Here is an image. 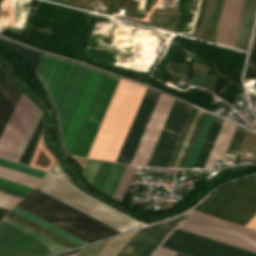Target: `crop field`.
Segmentation results:
<instances>
[{
  "label": "crop field",
  "mask_w": 256,
  "mask_h": 256,
  "mask_svg": "<svg viewBox=\"0 0 256 256\" xmlns=\"http://www.w3.org/2000/svg\"><path fill=\"white\" fill-rule=\"evenodd\" d=\"M0 43L2 45H4L11 53L16 55L18 58H20L24 62H26L28 64V66L31 68V70L34 72L35 76L37 77L39 83L43 87V89L52 105V108L54 110L57 125H58L60 145L62 147V143H63V147L65 148V150L68 151L69 153L73 154L75 147L78 143V140L81 136V133L84 129V126L87 122L89 114L92 110V107L95 103V100L98 96L100 88H101L103 81L106 77V75H104L106 73L101 74L103 72H101V73H98L100 71L95 72L97 70L91 71L94 69L88 70L89 69L88 67L76 64V65H79V66H82V67H85L88 69H85L82 67L80 68L78 75L76 77V80L73 84V87H72L70 94L67 98V101L65 103V106H64L62 113L59 117L61 136H62V143H61L59 122H58V117H57L56 111L53 107V104H52L43 84L41 83L40 79L38 78V76L35 72L43 53H39V52L32 50L30 48H27V47H23L21 45H18L16 43L8 41L2 37H0ZM44 55H47V54H44ZM47 56L54 57L51 55H47ZM54 58L75 64L74 62H71V61H68L65 59H61L58 57H54ZM63 147H62V149H63ZM69 153H67V154H69Z\"/></svg>",
  "instance_id": "8a807250"
},
{
  "label": "crop field",
  "mask_w": 256,
  "mask_h": 256,
  "mask_svg": "<svg viewBox=\"0 0 256 256\" xmlns=\"http://www.w3.org/2000/svg\"><path fill=\"white\" fill-rule=\"evenodd\" d=\"M146 88L120 79L87 157L116 161Z\"/></svg>",
  "instance_id": "ac0d7876"
},
{
  "label": "crop field",
  "mask_w": 256,
  "mask_h": 256,
  "mask_svg": "<svg viewBox=\"0 0 256 256\" xmlns=\"http://www.w3.org/2000/svg\"><path fill=\"white\" fill-rule=\"evenodd\" d=\"M159 94V92L147 88L116 162L130 163ZM174 100L167 95L160 94L130 164L147 165Z\"/></svg>",
  "instance_id": "34b2d1b8"
},
{
  "label": "crop field",
  "mask_w": 256,
  "mask_h": 256,
  "mask_svg": "<svg viewBox=\"0 0 256 256\" xmlns=\"http://www.w3.org/2000/svg\"><path fill=\"white\" fill-rule=\"evenodd\" d=\"M17 206L88 243L120 233L35 188Z\"/></svg>",
  "instance_id": "412701ff"
},
{
  "label": "crop field",
  "mask_w": 256,
  "mask_h": 256,
  "mask_svg": "<svg viewBox=\"0 0 256 256\" xmlns=\"http://www.w3.org/2000/svg\"><path fill=\"white\" fill-rule=\"evenodd\" d=\"M35 188L121 232L142 226V224L92 200L85 194L50 174Z\"/></svg>",
  "instance_id": "f4fd0767"
},
{
  "label": "crop field",
  "mask_w": 256,
  "mask_h": 256,
  "mask_svg": "<svg viewBox=\"0 0 256 256\" xmlns=\"http://www.w3.org/2000/svg\"><path fill=\"white\" fill-rule=\"evenodd\" d=\"M178 229L256 253V231L194 211Z\"/></svg>",
  "instance_id": "dd49c442"
},
{
  "label": "crop field",
  "mask_w": 256,
  "mask_h": 256,
  "mask_svg": "<svg viewBox=\"0 0 256 256\" xmlns=\"http://www.w3.org/2000/svg\"><path fill=\"white\" fill-rule=\"evenodd\" d=\"M64 250L6 217L0 223V256H47Z\"/></svg>",
  "instance_id": "e52e79f7"
},
{
  "label": "crop field",
  "mask_w": 256,
  "mask_h": 256,
  "mask_svg": "<svg viewBox=\"0 0 256 256\" xmlns=\"http://www.w3.org/2000/svg\"><path fill=\"white\" fill-rule=\"evenodd\" d=\"M243 0H224L216 43L233 45ZM256 13V0H244L233 47L247 50Z\"/></svg>",
  "instance_id": "d8731c3e"
},
{
  "label": "crop field",
  "mask_w": 256,
  "mask_h": 256,
  "mask_svg": "<svg viewBox=\"0 0 256 256\" xmlns=\"http://www.w3.org/2000/svg\"><path fill=\"white\" fill-rule=\"evenodd\" d=\"M186 214L179 216L175 219L163 222L160 226V224L152 225L146 228H142L138 231L128 233L119 237L112 238L108 241V243L102 248V250L96 255V256H117L118 253L125 247H126L119 253L118 256H134L135 253L143 247L136 253L135 256H148L156 247L157 245L169 234V232L182 220V218Z\"/></svg>",
  "instance_id": "5a996713"
},
{
  "label": "crop field",
  "mask_w": 256,
  "mask_h": 256,
  "mask_svg": "<svg viewBox=\"0 0 256 256\" xmlns=\"http://www.w3.org/2000/svg\"><path fill=\"white\" fill-rule=\"evenodd\" d=\"M79 68V66L44 55L41 58L36 72L51 97L58 117Z\"/></svg>",
  "instance_id": "3316defc"
},
{
  "label": "crop field",
  "mask_w": 256,
  "mask_h": 256,
  "mask_svg": "<svg viewBox=\"0 0 256 256\" xmlns=\"http://www.w3.org/2000/svg\"><path fill=\"white\" fill-rule=\"evenodd\" d=\"M161 246L191 256H256L254 253L178 229Z\"/></svg>",
  "instance_id": "28ad6ade"
},
{
  "label": "crop field",
  "mask_w": 256,
  "mask_h": 256,
  "mask_svg": "<svg viewBox=\"0 0 256 256\" xmlns=\"http://www.w3.org/2000/svg\"><path fill=\"white\" fill-rule=\"evenodd\" d=\"M191 108L175 100L147 166H167Z\"/></svg>",
  "instance_id": "d1516ede"
},
{
  "label": "crop field",
  "mask_w": 256,
  "mask_h": 256,
  "mask_svg": "<svg viewBox=\"0 0 256 256\" xmlns=\"http://www.w3.org/2000/svg\"><path fill=\"white\" fill-rule=\"evenodd\" d=\"M36 109L22 94L0 137V156L10 160L12 159Z\"/></svg>",
  "instance_id": "22f410ed"
},
{
  "label": "crop field",
  "mask_w": 256,
  "mask_h": 256,
  "mask_svg": "<svg viewBox=\"0 0 256 256\" xmlns=\"http://www.w3.org/2000/svg\"><path fill=\"white\" fill-rule=\"evenodd\" d=\"M119 79V77L107 75L74 155L87 156Z\"/></svg>",
  "instance_id": "cbeb9de0"
},
{
  "label": "crop field",
  "mask_w": 256,
  "mask_h": 256,
  "mask_svg": "<svg viewBox=\"0 0 256 256\" xmlns=\"http://www.w3.org/2000/svg\"><path fill=\"white\" fill-rule=\"evenodd\" d=\"M222 121V119H219L217 117L215 118L194 167H204ZM235 127V125L224 120V123L221 127L219 135L216 139V142L213 146V149L204 168H213L216 160H220L223 158Z\"/></svg>",
  "instance_id": "5142ce71"
},
{
  "label": "crop field",
  "mask_w": 256,
  "mask_h": 256,
  "mask_svg": "<svg viewBox=\"0 0 256 256\" xmlns=\"http://www.w3.org/2000/svg\"><path fill=\"white\" fill-rule=\"evenodd\" d=\"M206 115V113L192 108L167 167H185Z\"/></svg>",
  "instance_id": "d9b57169"
},
{
  "label": "crop field",
  "mask_w": 256,
  "mask_h": 256,
  "mask_svg": "<svg viewBox=\"0 0 256 256\" xmlns=\"http://www.w3.org/2000/svg\"><path fill=\"white\" fill-rule=\"evenodd\" d=\"M124 166L125 165L113 163L99 191L105 193L108 196H111ZM136 169L137 168L134 166H125L116 185V188L111 196L112 198L119 201L123 200L126 191L134 177Z\"/></svg>",
  "instance_id": "733c2abd"
},
{
  "label": "crop field",
  "mask_w": 256,
  "mask_h": 256,
  "mask_svg": "<svg viewBox=\"0 0 256 256\" xmlns=\"http://www.w3.org/2000/svg\"><path fill=\"white\" fill-rule=\"evenodd\" d=\"M21 92L9 81L0 99V134L15 108Z\"/></svg>",
  "instance_id": "4a817a6b"
},
{
  "label": "crop field",
  "mask_w": 256,
  "mask_h": 256,
  "mask_svg": "<svg viewBox=\"0 0 256 256\" xmlns=\"http://www.w3.org/2000/svg\"><path fill=\"white\" fill-rule=\"evenodd\" d=\"M110 165L111 163L109 162L89 159L84 168L83 174L95 188L99 189Z\"/></svg>",
  "instance_id": "bc2a9ffb"
},
{
  "label": "crop field",
  "mask_w": 256,
  "mask_h": 256,
  "mask_svg": "<svg viewBox=\"0 0 256 256\" xmlns=\"http://www.w3.org/2000/svg\"><path fill=\"white\" fill-rule=\"evenodd\" d=\"M12 211H14V212H16V213H18V214L28 218L29 220H31V221H33V222H35V223L45 227L46 229H48V230H50V231H52V232L62 236L63 238H65V239H67V240H69V241H71V242H73V243H75V244H77L79 246L87 244L86 242H84V241H82V240H80V239L70 235L69 233H67V232H65V231H63V230L53 226L52 224H50V223H48V222H46V221H44V220L34 216L33 214H31V213H29V212H27V211H25V210H23V209H21V208H19L17 206Z\"/></svg>",
  "instance_id": "214f88e0"
},
{
  "label": "crop field",
  "mask_w": 256,
  "mask_h": 256,
  "mask_svg": "<svg viewBox=\"0 0 256 256\" xmlns=\"http://www.w3.org/2000/svg\"><path fill=\"white\" fill-rule=\"evenodd\" d=\"M42 131H43V117L41 116L20 160L19 163L29 164L41 138H42Z\"/></svg>",
  "instance_id": "92a150f3"
},
{
  "label": "crop field",
  "mask_w": 256,
  "mask_h": 256,
  "mask_svg": "<svg viewBox=\"0 0 256 256\" xmlns=\"http://www.w3.org/2000/svg\"><path fill=\"white\" fill-rule=\"evenodd\" d=\"M0 177L34 187L40 178L0 166Z\"/></svg>",
  "instance_id": "dafd665d"
},
{
  "label": "crop field",
  "mask_w": 256,
  "mask_h": 256,
  "mask_svg": "<svg viewBox=\"0 0 256 256\" xmlns=\"http://www.w3.org/2000/svg\"><path fill=\"white\" fill-rule=\"evenodd\" d=\"M214 118L215 117L212 116V115H209V114L207 115V117L205 119V122L203 124V127H202V129L200 131L198 139H197V141L195 143V146L193 148V151H192V153L190 155V158H189L188 163H187L185 168H192L193 167V165H194V163L196 161V158H197V156H198V154L200 152V149H201V147L203 145V142H204V140H205V138L207 136V133H208L210 127H211V124H212Z\"/></svg>",
  "instance_id": "00972430"
},
{
  "label": "crop field",
  "mask_w": 256,
  "mask_h": 256,
  "mask_svg": "<svg viewBox=\"0 0 256 256\" xmlns=\"http://www.w3.org/2000/svg\"><path fill=\"white\" fill-rule=\"evenodd\" d=\"M30 189L31 187L0 178L1 191L14 194L23 198Z\"/></svg>",
  "instance_id": "a9b5d70f"
},
{
  "label": "crop field",
  "mask_w": 256,
  "mask_h": 256,
  "mask_svg": "<svg viewBox=\"0 0 256 256\" xmlns=\"http://www.w3.org/2000/svg\"><path fill=\"white\" fill-rule=\"evenodd\" d=\"M244 79H256V27L246 66Z\"/></svg>",
  "instance_id": "4177f3b9"
},
{
  "label": "crop field",
  "mask_w": 256,
  "mask_h": 256,
  "mask_svg": "<svg viewBox=\"0 0 256 256\" xmlns=\"http://www.w3.org/2000/svg\"><path fill=\"white\" fill-rule=\"evenodd\" d=\"M40 116H41V112L39 110H37L32 122H31V124H30V126H29V128H28V130H27V132H26V134H25V136H24V138H23L15 156H14V158H13V161L18 162V160H19V158H20V156H21V154H22V152H23V150H24V148H25V146H26V144H27V142H28V140H29V138H30L37 122H38V120H39V118H40Z\"/></svg>",
  "instance_id": "730fd06b"
},
{
  "label": "crop field",
  "mask_w": 256,
  "mask_h": 256,
  "mask_svg": "<svg viewBox=\"0 0 256 256\" xmlns=\"http://www.w3.org/2000/svg\"><path fill=\"white\" fill-rule=\"evenodd\" d=\"M19 199L20 197L10 195L0 191V207L10 210ZM3 208H0V220L7 212H9V210L3 209Z\"/></svg>",
  "instance_id": "eef30255"
},
{
  "label": "crop field",
  "mask_w": 256,
  "mask_h": 256,
  "mask_svg": "<svg viewBox=\"0 0 256 256\" xmlns=\"http://www.w3.org/2000/svg\"><path fill=\"white\" fill-rule=\"evenodd\" d=\"M0 165L6 166L9 168L18 170V171H22V172H25V173H28V174H31V175H34V176H37L40 178H42L46 174V172L39 171V170L30 168L27 166H23V165H20V164L11 162V161H7V160L1 159V158H0Z\"/></svg>",
  "instance_id": "ae1a2a85"
},
{
  "label": "crop field",
  "mask_w": 256,
  "mask_h": 256,
  "mask_svg": "<svg viewBox=\"0 0 256 256\" xmlns=\"http://www.w3.org/2000/svg\"><path fill=\"white\" fill-rule=\"evenodd\" d=\"M107 240L83 248L77 256H94Z\"/></svg>",
  "instance_id": "d3111659"
},
{
  "label": "crop field",
  "mask_w": 256,
  "mask_h": 256,
  "mask_svg": "<svg viewBox=\"0 0 256 256\" xmlns=\"http://www.w3.org/2000/svg\"><path fill=\"white\" fill-rule=\"evenodd\" d=\"M50 173L54 174L55 176L61 178L62 180L66 181L67 183L74 186L73 183L70 181V179L67 177V175L64 173V171L61 169V167L58 165V163L56 164V166L52 169V171Z\"/></svg>",
  "instance_id": "750c4746"
},
{
  "label": "crop field",
  "mask_w": 256,
  "mask_h": 256,
  "mask_svg": "<svg viewBox=\"0 0 256 256\" xmlns=\"http://www.w3.org/2000/svg\"><path fill=\"white\" fill-rule=\"evenodd\" d=\"M8 78L6 77L5 73L3 70L0 68V97L8 83Z\"/></svg>",
  "instance_id": "bd1437ed"
},
{
  "label": "crop field",
  "mask_w": 256,
  "mask_h": 256,
  "mask_svg": "<svg viewBox=\"0 0 256 256\" xmlns=\"http://www.w3.org/2000/svg\"><path fill=\"white\" fill-rule=\"evenodd\" d=\"M176 252L169 251L163 248H159L157 251H155L151 256H175Z\"/></svg>",
  "instance_id": "1d83c4d3"
},
{
  "label": "crop field",
  "mask_w": 256,
  "mask_h": 256,
  "mask_svg": "<svg viewBox=\"0 0 256 256\" xmlns=\"http://www.w3.org/2000/svg\"><path fill=\"white\" fill-rule=\"evenodd\" d=\"M81 249H82V248H81ZM81 249L73 250V251H70V252H67V253H64V254L58 255V256H65V255H68V254H71V253H75V252L80 251ZM76 254H77V253L72 254V255H68V256H76Z\"/></svg>",
  "instance_id": "120bbe31"
},
{
  "label": "crop field",
  "mask_w": 256,
  "mask_h": 256,
  "mask_svg": "<svg viewBox=\"0 0 256 256\" xmlns=\"http://www.w3.org/2000/svg\"><path fill=\"white\" fill-rule=\"evenodd\" d=\"M176 256H182V254L177 253Z\"/></svg>",
  "instance_id": "d32e631a"
},
{
  "label": "crop field",
  "mask_w": 256,
  "mask_h": 256,
  "mask_svg": "<svg viewBox=\"0 0 256 256\" xmlns=\"http://www.w3.org/2000/svg\"><path fill=\"white\" fill-rule=\"evenodd\" d=\"M1 1V0H0Z\"/></svg>",
  "instance_id": "5866460e"
}]
</instances>
